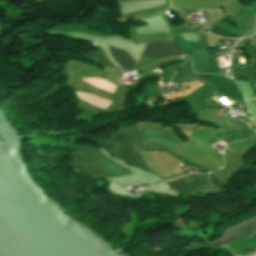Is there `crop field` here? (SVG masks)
Returning <instances> with one entry per match:
<instances>
[{"label": "crop field", "instance_id": "1", "mask_svg": "<svg viewBox=\"0 0 256 256\" xmlns=\"http://www.w3.org/2000/svg\"><path fill=\"white\" fill-rule=\"evenodd\" d=\"M256 231V217L242 224L228 228L223 237L210 242L214 246H220L233 240L241 239L247 236H252Z\"/></svg>", "mask_w": 256, "mask_h": 256}, {"label": "crop field", "instance_id": "3", "mask_svg": "<svg viewBox=\"0 0 256 256\" xmlns=\"http://www.w3.org/2000/svg\"><path fill=\"white\" fill-rule=\"evenodd\" d=\"M180 38H182L183 40L193 44L194 46L204 50V48L202 47V40H203V37L193 33L192 31L188 30L184 33H181L179 35H176ZM176 36H173V39H172V43L180 46V47H183L187 50H189L190 52H192L193 54L199 52V51H202L196 47H194L193 45L183 41L182 39L176 37Z\"/></svg>", "mask_w": 256, "mask_h": 256}, {"label": "crop field", "instance_id": "2", "mask_svg": "<svg viewBox=\"0 0 256 256\" xmlns=\"http://www.w3.org/2000/svg\"><path fill=\"white\" fill-rule=\"evenodd\" d=\"M185 51L173 46L169 43H158L147 45L144 51V55H148L155 58H165L174 55L184 54Z\"/></svg>", "mask_w": 256, "mask_h": 256}, {"label": "crop field", "instance_id": "6", "mask_svg": "<svg viewBox=\"0 0 256 256\" xmlns=\"http://www.w3.org/2000/svg\"><path fill=\"white\" fill-rule=\"evenodd\" d=\"M211 32H213L215 34H218V35H221L223 37H240V36H235L233 34H230V33L226 32V31H224V30H222L218 27H215V26H213V28L211 29Z\"/></svg>", "mask_w": 256, "mask_h": 256}, {"label": "crop field", "instance_id": "4", "mask_svg": "<svg viewBox=\"0 0 256 256\" xmlns=\"http://www.w3.org/2000/svg\"><path fill=\"white\" fill-rule=\"evenodd\" d=\"M188 181L194 185L196 191L205 193L217 191L208 183L207 175H191Z\"/></svg>", "mask_w": 256, "mask_h": 256}, {"label": "crop field", "instance_id": "5", "mask_svg": "<svg viewBox=\"0 0 256 256\" xmlns=\"http://www.w3.org/2000/svg\"><path fill=\"white\" fill-rule=\"evenodd\" d=\"M109 47V46H108ZM114 59L122 68L129 70L136 62L124 51L109 47Z\"/></svg>", "mask_w": 256, "mask_h": 256}]
</instances>
